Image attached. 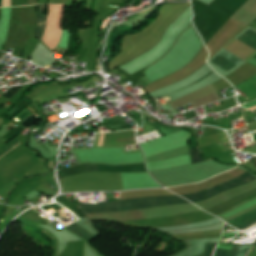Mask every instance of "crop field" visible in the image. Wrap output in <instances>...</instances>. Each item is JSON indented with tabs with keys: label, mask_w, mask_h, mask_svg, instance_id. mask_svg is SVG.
Returning <instances> with one entry per match:
<instances>
[{
	"label": "crop field",
	"mask_w": 256,
	"mask_h": 256,
	"mask_svg": "<svg viewBox=\"0 0 256 256\" xmlns=\"http://www.w3.org/2000/svg\"><path fill=\"white\" fill-rule=\"evenodd\" d=\"M189 203L177 196L135 198L117 202L101 203L99 205L78 204L83 213L115 212L147 207H158Z\"/></svg>",
	"instance_id": "1"
},
{
	"label": "crop field",
	"mask_w": 256,
	"mask_h": 256,
	"mask_svg": "<svg viewBox=\"0 0 256 256\" xmlns=\"http://www.w3.org/2000/svg\"><path fill=\"white\" fill-rule=\"evenodd\" d=\"M236 41L256 51V33L249 30ZM210 63L224 75L241 62L222 52Z\"/></svg>",
	"instance_id": "2"
},
{
	"label": "crop field",
	"mask_w": 256,
	"mask_h": 256,
	"mask_svg": "<svg viewBox=\"0 0 256 256\" xmlns=\"http://www.w3.org/2000/svg\"><path fill=\"white\" fill-rule=\"evenodd\" d=\"M255 178L256 177H252L250 174H248L246 172L243 175H241L240 177L233 179L231 181L216 185L214 187H211V188L201 191V192H197V193H193V194H189V195H182V197L186 198L187 200H189L192 203L202 201V200L210 198L224 190L231 189V188L246 184Z\"/></svg>",
	"instance_id": "3"
},
{
	"label": "crop field",
	"mask_w": 256,
	"mask_h": 256,
	"mask_svg": "<svg viewBox=\"0 0 256 256\" xmlns=\"http://www.w3.org/2000/svg\"><path fill=\"white\" fill-rule=\"evenodd\" d=\"M227 223L240 230L246 229L256 223V209H253L235 219L229 220Z\"/></svg>",
	"instance_id": "4"
},
{
	"label": "crop field",
	"mask_w": 256,
	"mask_h": 256,
	"mask_svg": "<svg viewBox=\"0 0 256 256\" xmlns=\"http://www.w3.org/2000/svg\"><path fill=\"white\" fill-rule=\"evenodd\" d=\"M46 5H38V11H37V28L34 36H36L39 40L41 39L44 30H45V24H46V18L47 16H44V10L46 9Z\"/></svg>",
	"instance_id": "5"
},
{
	"label": "crop field",
	"mask_w": 256,
	"mask_h": 256,
	"mask_svg": "<svg viewBox=\"0 0 256 256\" xmlns=\"http://www.w3.org/2000/svg\"><path fill=\"white\" fill-rule=\"evenodd\" d=\"M72 232H74L75 234L81 236L84 239H89L90 237H92L88 232H86L85 230H83L82 228H80L79 226H77L76 224L72 223L66 227H64Z\"/></svg>",
	"instance_id": "6"
},
{
	"label": "crop field",
	"mask_w": 256,
	"mask_h": 256,
	"mask_svg": "<svg viewBox=\"0 0 256 256\" xmlns=\"http://www.w3.org/2000/svg\"><path fill=\"white\" fill-rule=\"evenodd\" d=\"M241 246L239 247H232L230 253L228 256H237L239 250H240ZM250 246H242L238 256H246L248 250H249ZM252 248V247H251ZM251 250V249H250ZM250 252V251H249ZM249 254V253H248ZM248 256V255H247Z\"/></svg>",
	"instance_id": "7"
},
{
	"label": "crop field",
	"mask_w": 256,
	"mask_h": 256,
	"mask_svg": "<svg viewBox=\"0 0 256 256\" xmlns=\"http://www.w3.org/2000/svg\"><path fill=\"white\" fill-rule=\"evenodd\" d=\"M18 143V141L15 139H13L12 141L2 145L0 147V157L5 154L7 151H9L11 148H13L14 146H16Z\"/></svg>",
	"instance_id": "8"
},
{
	"label": "crop field",
	"mask_w": 256,
	"mask_h": 256,
	"mask_svg": "<svg viewBox=\"0 0 256 256\" xmlns=\"http://www.w3.org/2000/svg\"><path fill=\"white\" fill-rule=\"evenodd\" d=\"M191 156H192V161L193 163H198V162H202L197 151H196V147L193 146L191 147Z\"/></svg>",
	"instance_id": "9"
},
{
	"label": "crop field",
	"mask_w": 256,
	"mask_h": 256,
	"mask_svg": "<svg viewBox=\"0 0 256 256\" xmlns=\"http://www.w3.org/2000/svg\"><path fill=\"white\" fill-rule=\"evenodd\" d=\"M21 86L12 87L6 93L3 94V97L9 99Z\"/></svg>",
	"instance_id": "10"
},
{
	"label": "crop field",
	"mask_w": 256,
	"mask_h": 256,
	"mask_svg": "<svg viewBox=\"0 0 256 256\" xmlns=\"http://www.w3.org/2000/svg\"><path fill=\"white\" fill-rule=\"evenodd\" d=\"M214 246H215V244H206L204 256H211Z\"/></svg>",
	"instance_id": "11"
},
{
	"label": "crop field",
	"mask_w": 256,
	"mask_h": 256,
	"mask_svg": "<svg viewBox=\"0 0 256 256\" xmlns=\"http://www.w3.org/2000/svg\"><path fill=\"white\" fill-rule=\"evenodd\" d=\"M229 251L216 249L214 256H227Z\"/></svg>",
	"instance_id": "12"
},
{
	"label": "crop field",
	"mask_w": 256,
	"mask_h": 256,
	"mask_svg": "<svg viewBox=\"0 0 256 256\" xmlns=\"http://www.w3.org/2000/svg\"><path fill=\"white\" fill-rule=\"evenodd\" d=\"M104 137H105V133H104V134H102V136H101V138H100L99 146H102L103 141H104Z\"/></svg>",
	"instance_id": "13"
},
{
	"label": "crop field",
	"mask_w": 256,
	"mask_h": 256,
	"mask_svg": "<svg viewBox=\"0 0 256 256\" xmlns=\"http://www.w3.org/2000/svg\"><path fill=\"white\" fill-rule=\"evenodd\" d=\"M250 28H252V29L256 30V23H255V24H253Z\"/></svg>",
	"instance_id": "14"
},
{
	"label": "crop field",
	"mask_w": 256,
	"mask_h": 256,
	"mask_svg": "<svg viewBox=\"0 0 256 256\" xmlns=\"http://www.w3.org/2000/svg\"><path fill=\"white\" fill-rule=\"evenodd\" d=\"M4 55H5L4 53H1V52H0V59H1Z\"/></svg>",
	"instance_id": "15"
},
{
	"label": "crop field",
	"mask_w": 256,
	"mask_h": 256,
	"mask_svg": "<svg viewBox=\"0 0 256 256\" xmlns=\"http://www.w3.org/2000/svg\"><path fill=\"white\" fill-rule=\"evenodd\" d=\"M254 108H256V106H255V107H253V108H249V109H250V110H252V109H254ZM252 111L256 112V109H255V110H252Z\"/></svg>",
	"instance_id": "16"
},
{
	"label": "crop field",
	"mask_w": 256,
	"mask_h": 256,
	"mask_svg": "<svg viewBox=\"0 0 256 256\" xmlns=\"http://www.w3.org/2000/svg\"><path fill=\"white\" fill-rule=\"evenodd\" d=\"M1 2H2V0H0V7H1Z\"/></svg>",
	"instance_id": "17"
},
{
	"label": "crop field",
	"mask_w": 256,
	"mask_h": 256,
	"mask_svg": "<svg viewBox=\"0 0 256 256\" xmlns=\"http://www.w3.org/2000/svg\"><path fill=\"white\" fill-rule=\"evenodd\" d=\"M200 256H203V254H202V255H200Z\"/></svg>",
	"instance_id": "18"
}]
</instances>
